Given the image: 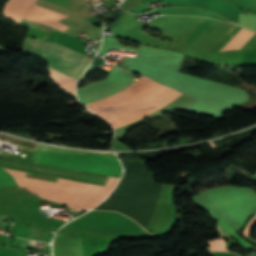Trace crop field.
<instances>
[{"instance_id":"obj_1","label":"crop field","mask_w":256,"mask_h":256,"mask_svg":"<svg viewBox=\"0 0 256 256\" xmlns=\"http://www.w3.org/2000/svg\"><path fill=\"white\" fill-rule=\"evenodd\" d=\"M33 160L39 164L82 172L120 177L122 170L115 155L38 145ZM5 169V168H4ZM20 187L73 210L92 209L113 189L119 178L109 177L105 186H96L58 178L57 183L24 178V172L5 169Z\"/></svg>"},{"instance_id":"obj_2","label":"crop field","mask_w":256,"mask_h":256,"mask_svg":"<svg viewBox=\"0 0 256 256\" xmlns=\"http://www.w3.org/2000/svg\"><path fill=\"white\" fill-rule=\"evenodd\" d=\"M160 87L162 85L141 75L135 83L120 93L85 106L104 118L138 106ZM191 102L190 97L163 86L138 107L104 119L114 126V138L120 140L129 129L140 125L145 118L178 110Z\"/></svg>"},{"instance_id":"obj_3","label":"crop field","mask_w":256,"mask_h":256,"mask_svg":"<svg viewBox=\"0 0 256 256\" xmlns=\"http://www.w3.org/2000/svg\"><path fill=\"white\" fill-rule=\"evenodd\" d=\"M23 53L45 60L49 66L79 79L91 58L78 54L56 43L26 38ZM50 67V68H51Z\"/></svg>"},{"instance_id":"obj_4","label":"crop field","mask_w":256,"mask_h":256,"mask_svg":"<svg viewBox=\"0 0 256 256\" xmlns=\"http://www.w3.org/2000/svg\"><path fill=\"white\" fill-rule=\"evenodd\" d=\"M241 226L254 204V197L247 191L223 189L205 194Z\"/></svg>"},{"instance_id":"obj_5","label":"crop field","mask_w":256,"mask_h":256,"mask_svg":"<svg viewBox=\"0 0 256 256\" xmlns=\"http://www.w3.org/2000/svg\"><path fill=\"white\" fill-rule=\"evenodd\" d=\"M34 7L39 8L41 10H44L46 12H49L53 15H56L58 17H61L63 19L65 18H71V17H79V15L52 3L46 2L44 0H38L35 4ZM34 7H31V9L28 11V13L25 15V19H29L32 21H36L42 24H46L49 25L55 29H58L60 31H65L67 30L66 28L58 25L57 23L62 21L63 19L58 18L56 16H53L51 14H48L44 11H41L39 9H36ZM61 24V23H59ZM63 25V24H61ZM67 28H69V26L63 25Z\"/></svg>"},{"instance_id":"obj_6","label":"crop field","mask_w":256,"mask_h":256,"mask_svg":"<svg viewBox=\"0 0 256 256\" xmlns=\"http://www.w3.org/2000/svg\"><path fill=\"white\" fill-rule=\"evenodd\" d=\"M255 45H256V32L243 28L220 51L229 50V49L251 50Z\"/></svg>"},{"instance_id":"obj_7","label":"crop field","mask_w":256,"mask_h":256,"mask_svg":"<svg viewBox=\"0 0 256 256\" xmlns=\"http://www.w3.org/2000/svg\"><path fill=\"white\" fill-rule=\"evenodd\" d=\"M35 1L36 0H8L2 14L19 23Z\"/></svg>"},{"instance_id":"obj_8","label":"crop field","mask_w":256,"mask_h":256,"mask_svg":"<svg viewBox=\"0 0 256 256\" xmlns=\"http://www.w3.org/2000/svg\"><path fill=\"white\" fill-rule=\"evenodd\" d=\"M49 70L51 74V79L54 81V83L57 86L75 95L74 87H75L76 81L68 77H65L51 69Z\"/></svg>"},{"instance_id":"obj_9","label":"crop field","mask_w":256,"mask_h":256,"mask_svg":"<svg viewBox=\"0 0 256 256\" xmlns=\"http://www.w3.org/2000/svg\"><path fill=\"white\" fill-rule=\"evenodd\" d=\"M217 222H218L217 227H218L219 232L221 233V235H222L223 237H225V236H230V235H231V236H233L235 239H237L245 249H247V248H249V247H252V245H250V244L246 243L245 241H243V240L237 235V233H236L235 231H233L222 219L217 220ZM233 237H232V238H233ZM237 240H236V241H237Z\"/></svg>"},{"instance_id":"obj_10","label":"crop field","mask_w":256,"mask_h":256,"mask_svg":"<svg viewBox=\"0 0 256 256\" xmlns=\"http://www.w3.org/2000/svg\"><path fill=\"white\" fill-rule=\"evenodd\" d=\"M238 25L247 27L256 31V14L248 12L247 15L239 14Z\"/></svg>"},{"instance_id":"obj_11","label":"crop field","mask_w":256,"mask_h":256,"mask_svg":"<svg viewBox=\"0 0 256 256\" xmlns=\"http://www.w3.org/2000/svg\"><path fill=\"white\" fill-rule=\"evenodd\" d=\"M12 177L3 169H0V187L14 185Z\"/></svg>"}]
</instances>
